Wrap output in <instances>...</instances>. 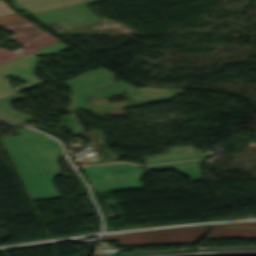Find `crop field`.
Returning a JSON list of instances; mask_svg holds the SVG:
<instances>
[{"instance_id": "crop-field-1", "label": "crop field", "mask_w": 256, "mask_h": 256, "mask_svg": "<svg viewBox=\"0 0 256 256\" xmlns=\"http://www.w3.org/2000/svg\"><path fill=\"white\" fill-rule=\"evenodd\" d=\"M19 136L3 138L33 200L59 197L53 179L61 175L58 161L62 148L38 131L22 129Z\"/></svg>"}, {"instance_id": "crop-field-2", "label": "crop field", "mask_w": 256, "mask_h": 256, "mask_svg": "<svg viewBox=\"0 0 256 256\" xmlns=\"http://www.w3.org/2000/svg\"><path fill=\"white\" fill-rule=\"evenodd\" d=\"M106 71L100 68L64 82L72 88L73 95L70 97L73 101L72 109L90 105L83 99L92 96L104 100L126 92L135 104H143L169 101L183 91L150 87L133 90L127 83L114 82L113 75Z\"/></svg>"}, {"instance_id": "crop-field-3", "label": "crop field", "mask_w": 256, "mask_h": 256, "mask_svg": "<svg viewBox=\"0 0 256 256\" xmlns=\"http://www.w3.org/2000/svg\"><path fill=\"white\" fill-rule=\"evenodd\" d=\"M85 170L92 188L100 192L142 188L140 178L146 173L128 163L90 166Z\"/></svg>"}, {"instance_id": "crop-field-4", "label": "crop field", "mask_w": 256, "mask_h": 256, "mask_svg": "<svg viewBox=\"0 0 256 256\" xmlns=\"http://www.w3.org/2000/svg\"><path fill=\"white\" fill-rule=\"evenodd\" d=\"M13 13L15 12L8 8L2 0H0V16ZM6 24H10V26L6 27L7 29L18 33H23V35L14 38L15 41L21 39L28 42L29 44L20 48L24 51L19 54L0 48V64L12 60L25 53L32 52L53 42L59 41L55 37L33 25L19 15L0 17V25Z\"/></svg>"}, {"instance_id": "crop-field-5", "label": "crop field", "mask_w": 256, "mask_h": 256, "mask_svg": "<svg viewBox=\"0 0 256 256\" xmlns=\"http://www.w3.org/2000/svg\"><path fill=\"white\" fill-rule=\"evenodd\" d=\"M208 232V226L167 229L106 236L104 241H118L121 246L194 243Z\"/></svg>"}, {"instance_id": "crop-field-6", "label": "crop field", "mask_w": 256, "mask_h": 256, "mask_svg": "<svg viewBox=\"0 0 256 256\" xmlns=\"http://www.w3.org/2000/svg\"><path fill=\"white\" fill-rule=\"evenodd\" d=\"M67 47L62 42L52 44L32 54L10 61L0 65V98L16 94L18 91L41 83L34 75V70L38 58L36 56L44 53H53ZM18 76L19 78L29 81L24 85H20L12 89L4 76Z\"/></svg>"}, {"instance_id": "crop-field-7", "label": "crop field", "mask_w": 256, "mask_h": 256, "mask_svg": "<svg viewBox=\"0 0 256 256\" xmlns=\"http://www.w3.org/2000/svg\"><path fill=\"white\" fill-rule=\"evenodd\" d=\"M208 237L256 238V223L212 226Z\"/></svg>"}, {"instance_id": "crop-field-8", "label": "crop field", "mask_w": 256, "mask_h": 256, "mask_svg": "<svg viewBox=\"0 0 256 256\" xmlns=\"http://www.w3.org/2000/svg\"><path fill=\"white\" fill-rule=\"evenodd\" d=\"M193 146L171 148L167 154L146 159L148 164L205 158L203 153H193Z\"/></svg>"}, {"instance_id": "crop-field-9", "label": "crop field", "mask_w": 256, "mask_h": 256, "mask_svg": "<svg viewBox=\"0 0 256 256\" xmlns=\"http://www.w3.org/2000/svg\"><path fill=\"white\" fill-rule=\"evenodd\" d=\"M24 96L21 94L6 97L0 99V120L5 121V122H11L14 124H19V122H27L31 121L32 117L11 109L10 103L12 102L13 99L16 98H23Z\"/></svg>"}, {"instance_id": "crop-field-10", "label": "crop field", "mask_w": 256, "mask_h": 256, "mask_svg": "<svg viewBox=\"0 0 256 256\" xmlns=\"http://www.w3.org/2000/svg\"><path fill=\"white\" fill-rule=\"evenodd\" d=\"M199 162H200V160L191 161V162H183V163L154 165V166H150V168H153L155 170L175 169L179 172H182L184 174L189 175L190 178L192 179V181H198V180H201L200 179V172L198 170Z\"/></svg>"}]
</instances>
